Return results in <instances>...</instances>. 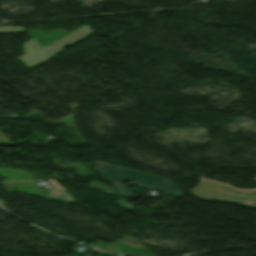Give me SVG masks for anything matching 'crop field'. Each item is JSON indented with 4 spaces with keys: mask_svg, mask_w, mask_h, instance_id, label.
I'll return each instance as SVG.
<instances>
[{
    "mask_svg": "<svg viewBox=\"0 0 256 256\" xmlns=\"http://www.w3.org/2000/svg\"><path fill=\"white\" fill-rule=\"evenodd\" d=\"M95 169L115 190L124 198L132 197L131 192L127 191L124 186L119 184L123 179H132L142 188H151L161 191L167 195L180 198L185 193L181 192L168 179L98 162L95 163Z\"/></svg>",
    "mask_w": 256,
    "mask_h": 256,
    "instance_id": "8a807250",
    "label": "crop field"
},
{
    "mask_svg": "<svg viewBox=\"0 0 256 256\" xmlns=\"http://www.w3.org/2000/svg\"><path fill=\"white\" fill-rule=\"evenodd\" d=\"M195 197H197L199 200H205V201H213V202H224V203H236L239 205L246 206L248 208H255L256 209V201L253 200H245V199H239V198H232L227 197L203 190L196 189L193 192H191Z\"/></svg>",
    "mask_w": 256,
    "mask_h": 256,
    "instance_id": "34b2d1b8",
    "label": "crop field"
},
{
    "mask_svg": "<svg viewBox=\"0 0 256 256\" xmlns=\"http://www.w3.org/2000/svg\"><path fill=\"white\" fill-rule=\"evenodd\" d=\"M252 180H254V181L256 182V178H254V179H252Z\"/></svg>",
    "mask_w": 256,
    "mask_h": 256,
    "instance_id": "f4fd0767",
    "label": "crop field"
},
{
    "mask_svg": "<svg viewBox=\"0 0 256 256\" xmlns=\"http://www.w3.org/2000/svg\"><path fill=\"white\" fill-rule=\"evenodd\" d=\"M19 31H24L22 27H0V32H9V33H17ZM28 32V31H26ZM29 36L31 34L28 32ZM93 34L88 26H84L70 35L52 43L51 45L43 48L37 40L33 37L28 42L24 43L23 51L26 53L21 56L19 60L24 61L28 67H33L44 60L52 57L56 53L63 50V47L72 45L83 38Z\"/></svg>",
    "mask_w": 256,
    "mask_h": 256,
    "instance_id": "ac0d7876",
    "label": "crop field"
},
{
    "mask_svg": "<svg viewBox=\"0 0 256 256\" xmlns=\"http://www.w3.org/2000/svg\"><path fill=\"white\" fill-rule=\"evenodd\" d=\"M199 188H203V189H207V190H211V191H215V192H219V193H223V194H227V195L239 197V198L256 199V193L243 194V193L234 191L228 187L213 184V183L206 182L203 185H201Z\"/></svg>",
    "mask_w": 256,
    "mask_h": 256,
    "instance_id": "412701ff",
    "label": "crop field"
}]
</instances>
